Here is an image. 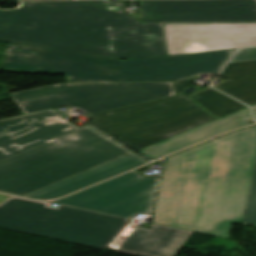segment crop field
<instances>
[{"mask_svg": "<svg viewBox=\"0 0 256 256\" xmlns=\"http://www.w3.org/2000/svg\"><path fill=\"white\" fill-rule=\"evenodd\" d=\"M124 1L21 2L0 9V41L129 59L168 55L164 23L256 22V0H149L143 24Z\"/></svg>", "mask_w": 256, "mask_h": 256, "instance_id": "crop-field-1", "label": "crop field"}, {"mask_svg": "<svg viewBox=\"0 0 256 256\" xmlns=\"http://www.w3.org/2000/svg\"><path fill=\"white\" fill-rule=\"evenodd\" d=\"M256 156V126L169 157L155 224L229 238L242 224Z\"/></svg>", "mask_w": 256, "mask_h": 256, "instance_id": "crop-field-2", "label": "crop field"}, {"mask_svg": "<svg viewBox=\"0 0 256 256\" xmlns=\"http://www.w3.org/2000/svg\"><path fill=\"white\" fill-rule=\"evenodd\" d=\"M87 126L54 109L1 120L0 191L23 196L132 153Z\"/></svg>", "mask_w": 256, "mask_h": 256, "instance_id": "crop-field-3", "label": "crop field"}, {"mask_svg": "<svg viewBox=\"0 0 256 256\" xmlns=\"http://www.w3.org/2000/svg\"><path fill=\"white\" fill-rule=\"evenodd\" d=\"M234 50L118 60L10 43L3 69L18 73L65 74L67 83L173 82L176 95L200 73L218 72Z\"/></svg>", "mask_w": 256, "mask_h": 256, "instance_id": "crop-field-4", "label": "crop field"}, {"mask_svg": "<svg viewBox=\"0 0 256 256\" xmlns=\"http://www.w3.org/2000/svg\"><path fill=\"white\" fill-rule=\"evenodd\" d=\"M10 196L0 204V227L105 249L129 218Z\"/></svg>", "mask_w": 256, "mask_h": 256, "instance_id": "crop-field-5", "label": "crop field"}, {"mask_svg": "<svg viewBox=\"0 0 256 256\" xmlns=\"http://www.w3.org/2000/svg\"><path fill=\"white\" fill-rule=\"evenodd\" d=\"M191 100L185 94L172 96L90 114L86 123L137 151L214 120Z\"/></svg>", "mask_w": 256, "mask_h": 256, "instance_id": "crop-field-6", "label": "crop field"}, {"mask_svg": "<svg viewBox=\"0 0 256 256\" xmlns=\"http://www.w3.org/2000/svg\"><path fill=\"white\" fill-rule=\"evenodd\" d=\"M172 95V83H107L56 84L10 96L24 114L62 105L90 114Z\"/></svg>", "mask_w": 256, "mask_h": 256, "instance_id": "crop-field-7", "label": "crop field"}, {"mask_svg": "<svg viewBox=\"0 0 256 256\" xmlns=\"http://www.w3.org/2000/svg\"><path fill=\"white\" fill-rule=\"evenodd\" d=\"M155 181L133 171L55 203L132 218L150 213Z\"/></svg>", "mask_w": 256, "mask_h": 256, "instance_id": "crop-field-8", "label": "crop field"}, {"mask_svg": "<svg viewBox=\"0 0 256 256\" xmlns=\"http://www.w3.org/2000/svg\"><path fill=\"white\" fill-rule=\"evenodd\" d=\"M169 55L256 46V23L165 24Z\"/></svg>", "mask_w": 256, "mask_h": 256, "instance_id": "crop-field-9", "label": "crop field"}, {"mask_svg": "<svg viewBox=\"0 0 256 256\" xmlns=\"http://www.w3.org/2000/svg\"><path fill=\"white\" fill-rule=\"evenodd\" d=\"M192 233L155 224L151 230L126 225L109 247L152 256H173Z\"/></svg>", "mask_w": 256, "mask_h": 256, "instance_id": "crop-field-10", "label": "crop field"}, {"mask_svg": "<svg viewBox=\"0 0 256 256\" xmlns=\"http://www.w3.org/2000/svg\"><path fill=\"white\" fill-rule=\"evenodd\" d=\"M147 160L132 153L102 166L96 167L79 175L73 176L46 188L40 189L23 197L38 199H54L80 190L111 176L138 167Z\"/></svg>", "mask_w": 256, "mask_h": 256, "instance_id": "crop-field-11", "label": "crop field"}, {"mask_svg": "<svg viewBox=\"0 0 256 256\" xmlns=\"http://www.w3.org/2000/svg\"><path fill=\"white\" fill-rule=\"evenodd\" d=\"M251 118V114L246 108L137 152L154 160L234 127L247 125L248 123L245 121Z\"/></svg>", "mask_w": 256, "mask_h": 256, "instance_id": "crop-field-12", "label": "crop field"}, {"mask_svg": "<svg viewBox=\"0 0 256 256\" xmlns=\"http://www.w3.org/2000/svg\"><path fill=\"white\" fill-rule=\"evenodd\" d=\"M219 76L228 80L215 88L248 105L256 103V61L227 63Z\"/></svg>", "mask_w": 256, "mask_h": 256, "instance_id": "crop-field-13", "label": "crop field"}, {"mask_svg": "<svg viewBox=\"0 0 256 256\" xmlns=\"http://www.w3.org/2000/svg\"><path fill=\"white\" fill-rule=\"evenodd\" d=\"M192 99L207 109L216 118L246 107L211 88L195 95Z\"/></svg>", "mask_w": 256, "mask_h": 256, "instance_id": "crop-field-14", "label": "crop field"}, {"mask_svg": "<svg viewBox=\"0 0 256 256\" xmlns=\"http://www.w3.org/2000/svg\"><path fill=\"white\" fill-rule=\"evenodd\" d=\"M243 224L256 225V161Z\"/></svg>", "mask_w": 256, "mask_h": 256, "instance_id": "crop-field-15", "label": "crop field"}, {"mask_svg": "<svg viewBox=\"0 0 256 256\" xmlns=\"http://www.w3.org/2000/svg\"><path fill=\"white\" fill-rule=\"evenodd\" d=\"M256 60V48L242 49L235 53L229 62Z\"/></svg>", "mask_w": 256, "mask_h": 256, "instance_id": "crop-field-16", "label": "crop field"}, {"mask_svg": "<svg viewBox=\"0 0 256 256\" xmlns=\"http://www.w3.org/2000/svg\"><path fill=\"white\" fill-rule=\"evenodd\" d=\"M7 197H9L8 195H2L0 194V203L5 200Z\"/></svg>", "mask_w": 256, "mask_h": 256, "instance_id": "crop-field-17", "label": "crop field"}, {"mask_svg": "<svg viewBox=\"0 0 256 256\" xmlns=\"http://www.w3.org/2000/svg\"><path fill=\"white\" fill-rule=\"evenodd\" d=\"M251 108L253 109V111H254V114H255V117H256V105H254V106H251Z\"/></svg>", "mask_w": 256, "mask_h": 256, "instance_id": "crop-field-18", "label": "crop field"}]
</instances>
